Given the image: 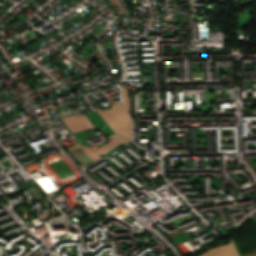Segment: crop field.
<instances>
[{"label": "crop field", "mask_w": 256, "mask_h": 256, "mask_svg": "<svg viewBox=\"0 0 256 256\" xmlns=\"http://www.w3.org/2000/svg\"><path fill=\"white\" fill-rule=\"evenodd\" d=\"M123 103L111 105L112 109L98 113L115 133L131 138L130 101L128 90L122 87Z\"/></svg>", "instance_id": "crop-field-1"}, {"label": "crop field", "mask_w": 256, "mask_h": 256, "mask_svg": "<svg viewBox=\"0 0 256 256\" xmlns=\"http://www.w3.org/2000/svg\"><path fill=\"white\" fill-rule=\"evenodd\" d=\"M112 138H114L115 140L109 142L108 144L104 145L103 147L99 148L98 150H96L94 152L90 148H82L78 144L66 148V151L69 152V151L79 147L82 151H84L90 158H92L96 162L99 159H101L100 156L102 154L112 150L114 147H116L121 142H123L125 144L129 142V139L121 137L119 135H115Z\"/></svg>", "instance_id": "crop-field-2"}, {"label": "crop field", "mask_w": 256, "mask_h": 256, "mask_svg": "<svg viewBox=\"0 0 256 256\" xmlns=\"http://www.w3.org/2000/svg\"><path fill=\"white\" fill-rule=\"evenodd\" d=\"M83 119L86 121V123L89 125L90 128L93 127V125L90 123V121L87 119L85 115H81ZM81 116L76 117V115L63 117L62 120L65 122L71 133L89 129L88 125L85 123V121L82 119Z\"/></svg>", "instance_id": "crop-field-3"}, {"label": "crop field", "mask_w": 256, "mask_h": 256, "mask_svg": "<svg viewBox=\"0 0 256 256\" xmlns=\"http://www.w3.org/2000/svg\"><path fill=\"white\" fill-rule=\"evenodd\" d=\"M199 256H239V254L231 240V243L211 248Z\"/></svg>", "instance_id": "crop-field-4"}, {"label": "crop field", "mask_w": 256, "mask_h": 256, "mask_svg": "<svg viewBox=\"0 0 256 256\" xmlns=\"http://www.w3.org/2000/svg\"><path fill=\"white\" fill-rule=\"evenodd\" d=\"M245 256H256V253L245 255Z\"/></svg>", "instance_id": "crop-field-5"}]
</instances>
